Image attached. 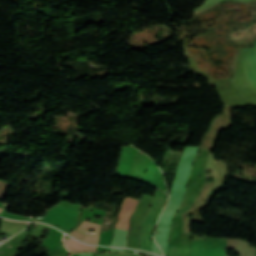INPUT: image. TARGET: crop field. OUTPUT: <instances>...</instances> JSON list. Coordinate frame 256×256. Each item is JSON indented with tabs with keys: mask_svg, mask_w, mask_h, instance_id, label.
Listing matches in <instances>:
<instances>
[{
	"mask_svg": "<svg viewBox=\"0 0 256 256\" xmlns=\"http://www.w3.org/2000/svg\"><path fill=\"white\" fill-rule=\"evenodd\" d=\"M198 147L187 146L173 181L172 191L169 202L180 203L185 193V183L190 174V166L195 157Z\"/></svg>",
	"mask_w": 256,
	"mask_h": 256,
	"instance_id": "1",
	"label": "crop field"
},
{
	"mask_svg": "<svg viewBox=\"0 0 256 256\" xmlns=\"http://www.w3.org/2000/svg\"><path fill=\"white\" fill-rule=\"evenodd\" d=\"M96 224L94 223H90V222H87V221H81L80 225L77 227V229L83 231V232H86L88 230V228L90 227H94L95 228ZM99 228H100V225L97 224L96 228H95V234H91V235H88L83 241L85 242H89V243H94V244H97L98 243V233H99ZM70 235L82 240L86 235L77 231V230H74L73 232L70 233Z\"/></svg>",
	"mask_w": 256,
	"mask_h": 256,
	"instance_id": "2",
	"label": "crop field"
},
{
	"mask_svg": "<svg viewBox=\"0 0 256 256\" xmlns=\"http://www.w3.org/2000/svg\"><path fill=\"white\" fill-rule=\"evenodd\" d=\"M137 201H138V199L133 200L132 198H129V197L126 198L124 205L122 207V210H121L119 222L117 224L118 228L128 230V220H129V217H130Z\"/></svg>",
	"mask_w": 256,
	"mask_h": 256,
	"instance_id": "3",
	"label": "crop field"
},
{
	"mask_svg": "<svg viewBox=\"0 0 256 256\" xmlns=\"http://www.w3.org/2000/svg\"><path fill=\"white\" fill-rule=\"evenodd\" d=\"M7 220V219H6ZM11 221V220H10ZM28 223V222H27Z\"/></svg>",
	"mask_w": 256,
	"mask_h": 256,
	"instance_id": "4",
	"label": "crop field"
}]
</instances>
